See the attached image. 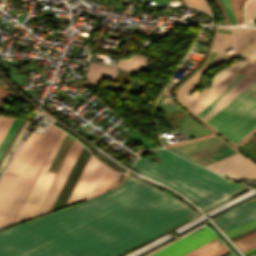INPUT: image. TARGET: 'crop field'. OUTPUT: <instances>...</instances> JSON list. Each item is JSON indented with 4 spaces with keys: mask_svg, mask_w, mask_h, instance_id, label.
<instances>
[{
    "mask_svg": "<svg viewBox=\"0 0 256 256\" xmlns=\"http://www.w3.org/2000/svg\"><path fill=\"white\" fill-rule=\"evenodd\" d=\"M90 157H91V155H90ZM90 157H89V159H90ZM89 159H88V161H89ZM88 161H87V163H88ZM87 163H86V165H87ZM86 165H85V167H86ZM85 167H84V169H85ZM84 169H83V171H84ZM83 171H82V173H83ZM82 173H81V175H82ZM81 175H80V177H81ZM80 177H79V179H80ZM79 179H78V181H79ZM78 181H77V183H78Z\"/></svg>",
    "mask_w": 256,
    "mask_h": 256,
    "instance_id": "crop-field-37",
    "label": "crop field"
},
{
    "mask_svg": "<svg viewBox=\"0 0 256 256\" xmlns=\"http://www.w3.org/2000/svg\"><path fill=\"white\" fill-rule=\"evenodd\" d=\"M214 2L219 7V9H220V11H221V13H222V15L224 17L225 22L226 23H231L229 18H228V16H227V14H226V12H225V10H224V8H223V6L221 5L220 1L219 0H214Z\"/></svg>",
    "mask_w": 256,
    "mask_h": 256,
    "instance_id": "crop-field-29",
    "label": "crop field"
},
{
    "mask_svg": "<svg viewBox=\"0 0 256 256\" xmlns=\"http://www.w3.org/2000/svg\"><path fill=\"white\" fill-rule=\"evenodd\" d=\"M234 73L226 71L220 81L217 83L215 88L196 106L192 109L194 112L200 111L205 107L213 98H215L227 85L230 79L233 77Z\"/></svg>",
    "mask_w": 256,
    "mask_h": 256,
    "instance_id": "crop-field-15",
    "label": "crop field"
},
{
    "mask_svg": "<svg viewBox=\"0 0 256 256\" xmlns=\"http://www.w3.org/2000/svg\"><path fill=\"white\" fill-rule=\"evenodd\" d=\"M160 190L129 175L103 196L1 230L0 256H118L196 214Z\"/></svg>",
    "mask_w": 256,
    "mask_h": 256,
    "instance_id": "crop-field-1",
    "label": "crop field"
},
{
    "mask_svg": "<svg viewBox=\"0 0 256 256\" xmlns=\"http://www.w3.org/2000/svg\"><path fill=\"white\" fill-rule=\"evenodd\" d=\"M225 70H222L218 72L215 77L213 78L212 84L210 88L207 90L209 84L206 86V88L202 91V93L188 106V108L191 110L200 100H202L216 85L217 81L221 77V75L224 73ZM210 83V82H209Z\"/></svg>",
    "mask_w": 256,
    "mask_h": 256,
    "instance_id": "crop-field-19",
    "label": "crop field"
},
{
    "mask_svg": "<svg viewBox=\"0 0 256 256\" xmlns=\"http://www.w3.org/2000/svg\"><path fill=\"white\" fill-rule=\"evenodd\" d=\"M28 124H29V122H28V121H25V123H24L22 129L20 130L18 136L16 137V139H15L13 145L11 146V148H10V150H9V152H8V154L6 155L4 161L2 162V164H1V166H0V170H2V169L5 167L7 161H8V159H9V157H10V154L14 152V150H15V148H16L18 142L20 141V139H21L23 133L25 132V130H26Z\"/></svg>",
    "mask_w": 256,
    "mask_h": 256,
    "instance_id": "crop-field-21",
    "label": "crop field"
},
{
    "mask_svg": "<svg viewBox=\"0 0 256 256\" xmlns=\"http://www.w3.org/2000/svg\"><path fill=\"white\" fill-rule=\"evenodd\" d=\"M218 35H228V34H220V33H217ZM229 36H231V35H229Z\"/></svg>",
    "mask_w": 256,
    "mask_h": 256,
    "instance_id": "crop-field-40",
    "label": "crop field"
},
{
    "mask_svg": "<svg viewBox=\"0 0 256 256\" xmlns=\"http://www.w3.org/2000/svg\"><path fill=\"white\" fill-rule=\"evenodd\" d=\"M63 135H64V132L61 131L47 161L45 162L32 190H31V192H30V194H29V196H28L23 208L21 209L15 222L35 216L53 178L55 177L54 174H50L45 171H46Z\"/></svg>",
    "mask_w": 256,
    "mask_h": 256,
    "instance_id": "crop-field-8",
    "label": "crop field"
},
{
    "mask_svg": "<svg viewBox=\"0 0 256 256\" xmlns=\"http://www.w3.org/2000/svg\"><path fill=\"white\" fill-rule=\"evenodd\" d=\"M254 226H256V219L255 220H253V221H250V222H248V223H246V224H243V225H241V226H238V227H236V228H233V229H231V230H228V231H226V232H224L228 237H230V236H232V235H235V234H237V233H240V232H242V231H244V230H247V229H249V228H252V227H254Z\"/></svg>",
    "mask_w": 256,
    "mask_h": 256,
    "instance_id": "crop-field-25",
    "label": "crop field"
},
{
    "mask_svg": "<svg viewBox=\"0 0 256 256\" xmlns=\"http://www.w3.org/2000/svg\"><path fill=\"white\" fill-rule=\"evenodd\" d=\"M253 80H254L253 78L244 77L242 81L235 87V89L221 103H219L213 110H211L202 118H204L207 121L210 117H212L218 110H220L226 103H228L234 96H236L242 89H244Z\"/></svg>",
    "mask_w": 256,
    "mask_h": 256,
    "instance_id": "crop-field-16",
    "label": "crop field"
},
{
    "mask_svg": "<svg viewBox=\"0 0 256 256\" xmlns=\"http://www.w3.org/2000/svg\"><path fill=\"white\" fill-rule=\"evenodd\" d=\"M255 252H256V248H255V249H252V250H250V251L245 252V255L248 256V255H250V254H252V253H255Z\"/></svg>",
    "mask_w": 256,
    "mask_h": 256,
    "instance_id": "crop-field-34",
    "label": "crop field"
},
{
    "mask_svg": "<svg viewBox=\"0 0 256 256\" xmlns=\"http://www.w3.org/2000/svg\"><path fill=\"white\" fill-rule=\"evenodd\" d=\"M243 78V76L236 74L235 77L231 80V82L226 86V88L214 99L212 100L205 108H203L197 114L201 117L206 114L212 107H214L220 100H222L235 86L236 84Z\"/></svg>",
    "mask_w": 256,
    "mask_h": 256,
    "instance_id": "crop-field-17",
    "label": "crop field"
},
{
    "mask_svg": "<svg viewBox=\"0 0 256 256\" xmlns=\"http://www.w3.org/2000/svg\"><path fill=\"white\" fill-rule=\"evenodd\" d=\"M147 59V57L134 54L126 60H119L115 68L90 62L87 69V80L96 86L99 79L104 76L114 80L118 68L128 72L142 71L145 68Z\"/></svg>",
    "mask_w": 256,
    "mask_h": 256,
    "instance_id": "crop-field-10",
    "label": "crop field"
},
{
    "mask_svg": "<svg viewBox=\"0 0 256 256\" xmlns=\"http://www.w3.org/2000/svg\"><path fill=\"white\" fill-rule=\"evenodd\" d=\"M256 19V0H249L245 4V20Z\"/></svg>",
    "mask_w": 256,
    "mask_h": 256,
    "instance_id": "crop-field-22",
    "label": "crop field"
},
{
    "mask_svg": "<svg viewBox=\"0 0 256 256\" xmlns=\"http://www.w3.org/2000/svg\"><path fill=\"white\" fill-rule=\"evenodd\" d=\"M66 133H65V135H64V137H63V139H62V141H61V143H60V145H59V147H58V149H57V151H56V153H55V155H54V157H53V159H52V161H51V163H50V165H49V167H48V169H47V172L49 171V169H50V167H51V165H52V163H53V161H54V159H55V157H56V155H57V153H58V151H59V149H60V147H61V145H62V143H63V141H64V139H65V137H66Z\"/></svg>",
    "mask_w": 256,
    "mask_h": 256,
    "instance_id": "crop-field-31",
    "label": "crop field"
},
{
    "mask_svg": "<svg viewBox=\"0 0 256 256\" xmlns=\"http://www.w3.org/2000/svg\"><path fill=\"white\" fill-rule=\"evenodd\" d=\"M220 1H221V3L223 4L224 8L226 9V11H227V13H228V15H229V17H230V19H231V22H232V23H236L235 18H234V15H233V13H232V10H231V7H230V4H229L228 0H220Z\"/></svg>",
    "mask_w": 256,
    "mask_h": 256,
    "instance_id": "crop-field-28",
    "label": "crop field"
},
{
    "mask_svg": "<svg viewBox=\"0 0 256 256\" xmlns=\"http://www.w3.org/2000/svg\"><path fill=\"white\" fill-rule=\"evenodd\" d=\"M60 129L52 126L48 135L46 136L25 180H29V181H35L45 160L47 159L59 133H60ZM28 194L26 193H20L18 192L1 227H5L7 225H10L12 223H14L26 197Z\"/></svg>",
    "mask_w": 256,
    "mask_h": 256,
    "instance_id": "crop-field-7",
    "label": "crop field"
},
{
    "mask_svg": "<svg viewBox=\"0 0 256 256\" xmlns=\"http://www.w3.org/2000/svg\"><path fill=\"white\" fill-rule=\"evenodd\" d=\"M207 122L236 143L242 139L256 126V79Z\"/></svg>",
    "mask_w": 256,
    "mask_h": 256,
    "instance_id": "crop-field-3",
    "label": "crop field"
},
{
    "mask_svg": "<svg viewBox=\"0 0 256 256\" xmlns=\"http://www.w3.org/2000/svg\"><path fill=\"white\" fill-rule=\"evenodd\" d=\"M116 175H117V173H114V175H113V177H112V179H111V181H110V183H109L107 189L111 188V186H112V184H113V182H114V179H115ZM107 189H106V190H107Z\"/></svg>",
    "mask_w": 256,
    "mask_h": 256,
    "instance_id": "crop-field-33",
    "label": "crop field"
},
{
    "mask_svg": "<svg viewBox=\"0 0 256 256\" xmlns=\"http://www.w3.org/2000/svg\"><path fill=\"white\" fill-rule=\"evenodd\" d=\"M214 238H216V236L205 227L161 249L151 256H180Z\"/></svg>",
    "mask_w": 256,
    "mask_h": 256,
    "instance_id": "crop-field-12",
    "label": "crop field"
},
{
    "mask_svg": "<svg viewBox=\"0 0 256 256\" xmlns=\"http://www.w3.org/2000/svg\"><path fill=\"white\" fill-rule=\"evenodd\" d=\"M256 218V200L241 204L228 212L214 218L218 226L223 230L230 229ZM213 220V221H214Z\"/></svg>",
    "mask_w": 256,
    "mask_h": 256,
    "instance_id": "crop-field-13",
    "label": "crop field"
},
{
    "mask_svg": "<svg viewBox=\"0 0 256 256\" xmlns=\"http://www.w3.org/2000/svg\"><path fill=\"white\" fill-rule=\"evenodd\" d=\"M52 123L53 120L43 134L31 132L16 152L10 165L3 174L0 180V225Z\"/></svg>",
    "mask_w": 256,
    "mask_h": 256,
    "instance_id": "crop-field-5",
    "label": "crop field"
},
{
    "mask_svg": "<svg viewBox=\"0 0 256 256\" xmlns=\"http://www.w3.org/2000/svg\"><path fill=\"white\" fill-rule=\"evenodd\" d=\"M205 167L236 180L256 178V166L239 153Z\"/></svg>",
    "mask_w": 256,
    "mask_h": 256,
    "instance_id": "crop-field-9",
    "label": "crop field"
},
{
    "mask_svg": "<svg viewBox=\"0 0 256 256\" xmlns=\"http://www.w3.org/2000/svg\"><path fill=\"white\" fill-rule=\"evenodd\" d=\"M12 121V118L0 116V142L4 137L6 131L8 130L9 126L11 125Z\"/></svg>",
    "mask_w": 256,
    "mask_h": 256,
    "instance_id": "crop-field-27",
    "label": "crop field"
},
{
    "mask_svg": "<svg viewBox=\"0 0 256 256\" xmlns=\"http://www.w3.org/2000/svg\"><path fill=\"white\" fill-rule=\"evenodd\" d=\"M245 0H229L233 13L238 23H242L241 5Z\"/></svg>",
    "mask_w": 256,
    "mask_h": 256,
    "instance_id": "crop-field-23",
    "label": "crop field"
},
{
    "mask_svg": "<svg viewBox=\"0 0 256 256\" xmlns=\"http://www.w3.org/2000/svg\"><path fill=\"white\" fill-rule=\"evenodd\" d=\"M235 244L243 251L250 250L256 247V234L244 238L240 241L235 242Z\"/></svg>",
    "mask_w": 256,
    "mask_h": 256,
    "instance_id": "crop-field-20",
    "label": "crop field"
},
{
    "mask_svg": "<svg viewBox=\"0 0 256 256\" xmlns=\"http://www.w3.org/2000/svg\"><path fill=\"white\" fill-rule=\"evenodd\" d=\"M21 120L14 119L12 125L10 126L9 130L7 131L5 137L3 138L0 144V157L5 150L7 144L9 143L10 139L12 138L14 132L16 131L17 127L19 126Z\"/></svg>",
    "mask_w": 256,
    "mask_h": 256,
    "instance_id": "crop-field-18",
    "label": "crop field"
},
{
    "mask_svg": "<svg viewBox=\"0 0 256 256\" xmlns=\"http://www.w3.org/2000/svg\"><path fill=\"white\" fill-rule=\"evenodd\" d=\"M219 28H221V29H227V30H230L229 28H224V27H219Z\"/></svg>",
    "mask_w": 256,
    "mask_h": 256,
    "instance_id": "crop-field-39",
    "label": "crop field"
},
{
    "mask_svg": "<svg viewBox=\"0 0 256 256\" xmlns=\"http://www.w3.org/2000/svg\"><path fill=\"white\" fill-rule=\"evenodd\" d=\"M202 43V44H208V41H205V40H203V39H200V38H198V40H197V43Z\"/></svg>",
    "mask_w": 256,
    "mask_h": 256,
    "instance_id": "crop-field-35",
    "label": "crop field"
},
{
    "mask_svg": "<svg viewBox=\"0 0 256 256\" xmlns=\"http://www.w3.org/2000/svg\"><path fill=\"white\" fill-rule=\"evenodd\" d=\"M246 75L256 77V56H255V59H254V62L252 64V66L247 71Z\"/></svg>",
    "mask_w": 256,
    "mask_h": 256,
    "instance_id": "crop-field-30",
    "label": "crop field"
},
{
    "mask_svg": "<svg viewBox=\"0 0 256 256\" xmlns=\"http://www.w3.org/2000/svg\"><path fill=\"white\" fill-rule=\"evenodd\" d=\"M113 172L92 157L68 204L104 192Z\"/></svg>",
    "mask_w": 256,
    "mask_h": 256,
    "instance_id": "crop-field-6",
    "label": "crop field"
},
{
    "mask_svg": "<svg viewBox=\"0 0 256 256\" xmlns=\"http://www.w3.org/2000/svg\"><path fill=\"white\" fill-rule=\"evenodd\" d=\"M162 162L139 158L134 168L140 173L170 186L203 210L215 206L245 190L213 173H210L166 150H152Z\"/></svg>",
    "mask_w": 256,
    "mask_h": 256,
    "instance_id": "crop-field-2",
    "label": "crop field"
},
{
    "mask_svg": "<svg viewBox=\"0 0 256 256\" xmlns=\"http://www.w3.org/2000/svg\"><path fill=\"white\" fill-rule=\"evenodd\" d=\"M231 41H232V37L216 35L212 47L223 50L225 47H227L231 43Z\"/></svg>",
    "mask_w": 256,
    "mask_h": 256,
    "instance_id": "crop-field-24",
    "label": "crop field"
},
{
    "mask_svg": "<svg viewBox=\"0 0 256 256\" xmlns=\"http://www.w3.org/2000/svg\"><path fill=\"white\" fill-rule=\"evenodd\" d=\"M0 94L2 95V96H4V97H7L9 94H11V93H8V92H6L4 89H3V87L0 85Z\"/></svg>",
    "mask_w": 256,
    "mask_h": 256,
    "instance_id": "crop-field-32",
    "label": "crop field"
},
{
    "mask_svg": "<svg viewBox=\"0 0 256 256\" xmlns=\"http://www.w3.org/2000/svg\"><path fill=\"white\" fill-rule=\"evenodd\" d=\"M212 50H213V51H216V52H218V53L221 51V50H217V49H213V48H212Z\"/></svg>",
    "mask_w": 256,
    "mask_h": 256,
    "instance_id": "crop-field-38",
    "label": "crop field"
},
{
    "mask_svg": "<svg viewBox=\"0 0 256 256\" xmlns=\"http://www.w3.org/2000/svg\"><path fill=\"white\" fill-rule=\"evenodd\" d=\"M231 29L234 35V42L230 47L235 51L228 55L223 51L180 87L178 91V98L183 105L187 106L199 94V92L195 91L189 96L192 90L198 86L203 72H207L210 68L220 63L227 62L240 55L245 61L241 60L226 69L243 75L248 70L256 53V29Z\"/></svg>",
    "mask_w": 256,
    "mask_h": 256,
    "instance_id": "crop-field-4",
    "label": "crop field"
},
{
    "mask_svg": "<svg viewBox=\"0 0 256 256\" xmlns=\"http://www.w3.org/2000/svg\"><path fill=\"white\" fill-rule=\"evenodd\" d=\"M4 101H5V99L0 96V108L2 107Z\"/></svg>",
    "mask_w": 256,
    "mask_h": 256,
    "instance_id": "crop-field-36",
    "label": "crop field"
},
{
    "mask_svg": "<svg viewBox=\"0 0 256 256\" xmlns=\"http://www.w3.org/2000/svg\"><path fill=\"white\" fill-rule=\"evenodd\" d=\"M227 256H234V255L231 253V254H229V255H227Z\"/></svg>",
    "mask_w": 256,
    "mask_h": 256,
    "instance_id": "crop-field-41",
    "label": "crop field"
},
{
    "mask_svg": "<svg viewBox=\"0 0 256 256\" xmlns=\"http://www.w3.org/2000/svg\"><path fill=\"white\" fill-rule=\"evenodd\" d=\"M187 5L199 8L211 14L209 7L204 0H181Z\"/></svg>",
    "mask_w": 256,
    "mask_h": 256,
    "instance_id": "crop-field-26",
    "label": "crop field"
},
{
    "mask_svg": "<svg viewBox=\"0 0 256 256\" xmlns=\"http://www.w3.org/2000/svg\"><path fill=\"white\" fill-rule=\"evenodd\" d=\"M217 238L183 256H222L230 252L225 245Z\"/></svg>",
    "mask_w": 256,
    "mask_h": 256,
    "instance_id": "crop-field-14",
    "label": "crop field"
},
{
    "mask_svg": "<svg viewBox=\"0 0 256 256\" xmlns=\"http://www.w3.org/2000/svg\"><path fill=\"white\" fill-rule=\"evenodd\" d=\"M82 145L75 139L36 215L50 211L59 191L61 190L71 168L73 167Z\"/></svg>",
    "mask_w": 256,
    "mask_h": 256,
    "instance_id": "crop-field-11",
    "label": "crop field"
}]
</instances>
